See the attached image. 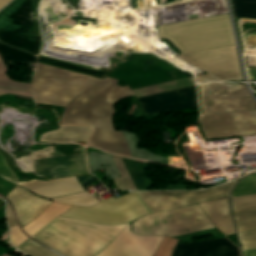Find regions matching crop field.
I'll return each mask as SVG.
<instances>
[{"mask_svg":"<svg viewBox=\"0 0 256 256\" xmlns=\"http://www.w3.org/2000/svg\"><path fill=\"white\" fill-rule=\"evenodd\" d=\"M69 166L70 165L62 164L61 167H60L58 177L64 176V175H71V174H86V173H89L86 165L76 167V168H72V169H69Z\"/></svg>","mask_w":256,"mask_h":256,"instance_id":"ae1a2a85","label":"crop field"},{"mask_svg":"<svg viewBox=\"0 0 256 256\" xmlns=\"http://www.w3.org/2000/svg\"><path fill=\"white\" fill-rule=\"evenodd\" d=\"M3 202L0 200V208L2 207Z\"/></svg>","mask_w":256,"mask_h":256,"instance_id":"120bbe31","label":"crop field"},{"mask_svg":"<svg viewBox=\"0 0 256 256\" xmlns=\"http://www.w3.org/2000/svg\"><path fill=\"white\" fill-rule=\"evenodd\" d=\"M199 89L203 114L256 109L246 86L207 83Z\"/></svg>","mask_w":256,"mask_h":256,"instance_id":"e52e79f7","label":"crop field"},{"mask_svg":"<svg viewBox=\"0 0 256 256\" xmlns=\"http://www.w3.org/2000/svg\"><path fill=\"white\" fill-rule=\"evenodd\" d=\"M256 194V173L241 180L235 186L231 197Z\"/></svg>","mask_w":256,"mask_h":256,"instance_id":"dafd665d","label":"crop field"},{"mask_svg":"<svg viewBox=\"0 0 256 256\" xmlns=\"http://www.w3.org/2000/svg\"><path fill=\"white\" fill-rule=\"evenodd\" d=\"M69 207L71 206L52 202V204L45 211H43L36 219L28 223L22 229L28 236L31 237L37 230L54 219L56 216L62 214Z\"/></svg>","mask_w":256,"mask_h":256,"instance_id":"4a817a6b","label":"crop field"},{"mask_svg":"<svg viewBox=\"0 0 256 256\" xmlns=\"http://www.w3.org/2000/svg\"><path fill=\"white\" fill-rule=\"evenodd\" d=\"M51 200L59 203H65L70 205H82V206H91L98 202L96 198L89 196L88 192L63 196V197H59Z\"/></svg>","mask_w":256,"mask_h":256,"instance_id":"92a150f3","label":"crop field"},{"mask_svg":"<svg viewBox=\"0 0 256 256\" xmlns=\"http://www.w3.org/2000/svg\"><path fill=\"white\" fill-rule=\"evenodd\" d=\"M10 0H0V8H2L6 3H8Z\"/></svg>","mask_w":256,"mask_h":256,"instance_id":"1d83c4d3","label":"crop field"},{"mask_svg":"<svg viewBox=\"0 0 256 256\" xmlns=\"http://www.w3.org/2000/svg\"><path fill=\"white\" fill-rule=\"evenodd\" d=\"M117 167V170L121 177L114 178L115 185L117 189H127V190H136L135 186L133 185L122 161L118 157L112 156Z\"/></svg>","mask_w":256,"mask_h":256,"instance_id":"00972430","label":"crop field"},{"mask_svg":"<svg viewBox=\"0 0 256 256\" xmlns=\"http://www.w3.org/2000/svg\"><path fill=\"white\" fill-rule=\"evenodd\" d=\"M149 213L148 209L135 192H131L116 200L108 198L94 207H72L63 216L84 221L116 225L131 222Z\"/></svg>","mask_w":256,"mask_h":256,"instance_id":"dd49c442","label":"crop field"},{"mask_svg":"<svg viewBox=\"0 0 256 256\" xmlns=\"http://www.w3.org/2000/svg\"><path fill=\"white\" fill-rule=\"evenodd\" d=\"M248 78L256 80V69L246 68Z\"/></svg>","mask_w":256,"mask_h":256,"instance_id":"bd1437ed","label":"crop field"},{"mask_svg":"<svg viewBox=\"0 0 256 256\" xmlns=\"http://www.w3.org/2000/svg\"><path fill=\"white\" fill-rule=\"evenodd\" d=\"M90 134V128L83 126H60L58 130L41 135L42 142H86Z\"/></svg>","mask_w":256,"mask_h":256,"instance_id":"733c2abd","label":"crop field"},{"mask_svg":"<svg viewBox=\"0 0 256 256\" xmlns=\"http://www.w3.org/2000/svg\"><path fill=\"white\" fill-rule=\"evenodd\" d=\"M12 234L22 243L24 242L26 239H28L27 237L24 236V234L20 231L18 225L10 228Z\"/></svg>","mask_w":256,"mask_h":256,"instance_id":"d3111659","label":"crop field"},{"mask_svg":"<svg viewBox=\"0 0 256 256\" xmlns=\"http://www.w3.org/2000/svg\"><path fill=\"white\" fill-rule=\"evenodd\" d=\"M242 253L256 252V231L238 234ZM243 256H256V253L246 254Z\"/></svg>","mask_w":256,"mask_h":256,"instance_id":"4177f3b9","label":"crop field"},{"mask_svg":"<svg viewBox=\"0 0 256 256\" xmlns=\"http://www.w3.org/2000/svg\"><path fill=\"white\" fill-rule=\"evenodd\" d=\"M238 232L256 229V210L234 214Z\"/></svg>","mask_w":256,"mask_h":256,"instance_id":"a9b5d70f","label":"crop field"},{"mask_svg":"<svg viewBox=\"0 0 256 256\" xmlns=\"http://www.w3.org/2000/svg\"><path fill=\"white\" fill-rule=\"evenodd\" d=\"M2 256H7L6 254L2 255Z\"/></svg>","mask_w":256,"mask_h":256,"instance_id":"d32e631a","label":"crop field"},{"mask_svg":"<svg viewBox=\"0 0 256 256\" xmlns=\"http://www.w3.org/2000/svg\"><path fill=\"white\" fill-rule=\"evenodd\" d=\"M57 218L32 238L64 256H96L127 225L105 226ZM162 239L133 234L128 224L97 256H153Z\"/></svg>","mask_w":256,"mask_h":256,"instance_id":"ac0d7876","label":"crop field"},{"mask_svg":"<svg viewBox=\"0 0 256 256\" xmlns=\"http://www.w3.org/2000/svg\"><path fill=\"white\" fill-rule=\"evenodd\" d=\"M85 75L37 63L32 92L35 103L67 107L78 96ZM117 80L85 76L81 93L65 109L61 124H83L92 129L114 130V104L126 96H134L128 86ZM88 145L111 153L128 156L121 131L93 130Z\"/></svg>","mask_w":256,"mask_h":256,"instance_id":"8a807250","label":"crop field"},{"mask_svg":"<svg viewBox=\"0 0 256 256\" xmlns=\"http://www.w3.org/2000/svg\"><path fill=\"white\" fill-rule=\"evenodd\" d=\"M235 181L204 191L137 192L150 212L169 211L186 206L226 198ZM148 210V211H149Z\"/></svg>","mask_w":256,"mask_h":256,"instance_id":"5a996713","label":"crop field"},{"mask_svg":"<svg viewBox=\"0 0 256 256\" xmlns=\"http://www.w3.org/2000/svg\"><path fill=\"white\" fill-rule=\"evenodd\" d=\"M19 250L29 254L30 256H57L32 241L25 243L21 248H19Z\"/></svg>","mask_w":256,"mask_h":256,"instance_id":"eef30255","label":"crop field"},{"mask_svg":"<svg viewBox=\"0 0 256 256\" xmlns=\"http://www.w3.org/2000/svg\"><path fill=\"white\" fill-rule=\"evenodd\" d=\"M172 256H239L238 249L225 238L220 240L176 244Z\"/></svg>","mask_w":256,"mask_h":256,"instance_id":"5142ce71","label":"crop field"},{"mask_svg":"<svg viewBox=\"0 0 256 256\" xmlns=\"http://www.w3.org/2000/svg\"><path fill=\"white\" fill-rule=\"evenodd\" d=\"M12 50V48L0 43V51ZM31 55V54H30ZM22 51L12 50L0 52V58L10 67L15 64L31 62L35 63L36 58L30 56ZM0 59V95L15 94L22 96H31L30 85L11 81L6 75L5 70L8 69Z\"/></svg>","mask_w":256,"mask_h":256,"instance_id":"22f410ed","label":"crop field"},{"mask_svg":"<svg viewBox=\"0 0 256 256\" xmlns=\"http://www.w3.org/2000/svg\"><path fill=\"white\" fill-rule=\"evenodd\" d=\"M145 115L197 107L194 87L138 99Z\"/></svg>","mask_w":256,"mask_h":256,"instance_id":"d1516ede","label":"crop field"},{"mask_svg":"<svg viewBox=\"0 0 256 256\" xmlns=\"http://www.w3.org/2000/svg\"><path fill=\"white\" fill-rule=\"evenodd\" d=\"M0 177L12 182L18 183L16 175L7 165L4 156L0 153ZM20 185L42 197L51 198L57 196H63L67 194H72L76 192H82L84 189L78 183L75 176L64 178V179H55L49 181H26L23 183H18Z\"/></svg>","mask_w":256,"mask_h":256,"instance_id":"28ad6ade","label":"crop field"},{"mask_svg":"<svg viewBox=\"0 0 256 256\" xmlns=\"http://www.w3.org/2000/svg\"><path fill=\"white\" fill-rule=\"evenodd\" d=\"M206 139L256 135V110L201 116Z\"/></svg>","mask_w":256,"mask_h":256,"instance_id":"3316defc","label":"crop field"},{"mask_svg":"<svg viewBox=\"0 0 256 256\" xmlns=\"http://www.w3.org/2000/svg\"><path fill=\"white\" fill-rule=\"evenodd\" d=\"M215 227L198 205L169 212L150 213L132 223L139 235L178 237Z\"/></svg>","mask_w":256,"mask_h":256,"instance_id":"f4fd0767","label":"crop field"},{"mask_svg":"<svg viewBox=\"0 0 256 256\" xmlns=\"http://www.w3.org/2000/svg\"><path fill=\"white\" fill-rule=\"evenodd\" d=\"M178 57L208 73L196 77L199 83L241 79L235 47L178 55Z\"/></svg>","mask_w":256,"mask_h":256,"instance_id":"d8731c3e","label":"crop field"},{"mask_svg":"<svg viewBox=\"0 0 256 256\" xmlns=\"http://www.w3.org/2000/svg\"><path fill=\"white\" fill-rule=\"evenodd\" d=\"M199 206L221 233L225 235L234 233L228 198L200 204Z\"/></svg>","mask_w":256,"mask_h":256,"instance_id":"d9b57169","label":"crop field"},{"mask_svg":"<svg viewBox=\"0 0 256 256\" xmlns=\"http://www.w3.org/2000/svg\"><path fill=\"white\" fill-rule=\"evenodd\" d=\"M192 85H194L193 77L174 81V82H169L165 84H160L156 86H151L143 89H138V90H134L133 92L136 95V97H139V96L178 89V88L192 86Z\"/></svg>","mask_w":256,"mask_h":256,"instance_id":"bc2a9ffb","label":"crop field"},{"mask_svg":"<svg viewBox=\"0 0 256 256\" xmlns=\"http://www.w3.org/2000/svg\"><path fill=\"white\" fill-rule=\"evenodd\" d=\"M158 27L161 39L168 38L181 54L236 45L228 14Z\"/></svg>","mask_w":256,"mask_h":256,"instance_id":"34b2d1b8","label":"crop field"},{"mask_svg":"<svg viewBox=\"0 0 256 256\" xmlns=\"http://www.w3.org/2000/svg\"><path fill=\"white\" fill-rule=\"evenodd\" d=\"M34 22L33 11L30 0H13L0 12V39L2 42L16 48L24 49L35 53L39 38L23 36L27 29ZM38 62L51 66L104 78L108 74L69 65L41 57H37Z\"/></svg>","mask_w":256,"mask_h":256,"instance_id":"412701ff","label":"crop field"},{"mask_svg":"<svg viewBox=\"0 0 256 256\" xmlns=\"http://www.w3.org/2000/svg\"><path fill=\"white\" fill-rule=\"evenodd\" d=\"M235 17L256 19V0H232Z\"/></svg>","mask_w":256,"mask_h":256,"instance_id":"214f88e0","label":"crop field"},{"mask_svg":"<svg viewBox=\"0 0 256 256\" xmlns=\"http://www.w3.org/2000/svg\"><path fill=\"white\" fill-rule=\"evenodd\" d=\"M234 213L256 209V195L232 198Z\"/></svg>","mask_w":256,"mask_h":256,"instance_id":"730fd06b","label":"crop field"},{"mask_svg":"<svg viewBox=\"0 0 256 256\" xmlns=\"http://www.w3.org/2000/svg\"><path fill=\"white\" fill-rule=\"evenodd\" d=\"M6 215H7V221H8L9 228L16 225L15 218L12 214L11 208L8 205V203H7V208H6Z\"/></svg>","mask_w":256,"mask_h":256,"instance_id":"750c4746","label":"crop field"},{"mask_svg":"<svg viewBox=\"0 0 256 256\" xmlns=\"http://www.w3.org/2000/svg\"><path fill=\"white\" fill-rule=\"evenodd\" d=\"M1 198V197H0Z\"/></svg>","mask_w":256,"mask_h":256,"instance_id":"5866460e","label":"crop field"},{"mask_svg":"<svg viewBox=\"0 0 256 256\" xmlns=\"http://www.w3.org/2000/svg\"><path fill=\"white\" fill-rule=\"evenodd\" d=\"M5 197L12 203L21 227L33 220L51 203L17 186Z\"/></svg>","mask_w":256,"mask_h":256,"instance_id":"cbeb9de0","label":"crop field"}]
</instances>
